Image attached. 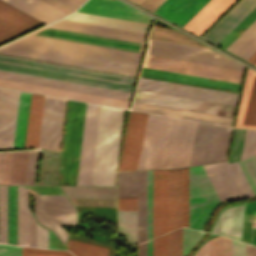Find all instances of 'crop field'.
<instances>
[{
  "label": "crop field",
  "instance_id": "8a807250",
  "mask_svg": "<svg viewBox=\"0 0 256 256\" xmlns=\"http://www.w3.org/2000/svg\"><path fill=\"white\" fill-rule=\"evenodd\" d=\"M0 53L134 76L140 53L28 34Z\"/></svg>",
  "mask_w": 256,
  "mask_h": 256
},
{
  "label": "crop field",
  "instance_id": "ac0d7876",
  "mask_svg": "<svg viewBox=\"0 0 256 256\" xmlns=\"http://www.w3.org/2000/svg\"><path fill=\"white\" fill-rule=\"evenodd\" d=\"M197 125L149 114L137 169L188 166Z\"/></svg>",
  "mask_w": 256,
  "mask_h": 256
},
{
  "label": "crop field",
  "instance_id": "34b2d1b8",
  "mask_svg": "<svg viewBox=\"0 0 256 256\" xmlns=\"http://www.w3.org/2000/svg\"><path fill=\"white\" fill-rule=\"evenodd\" d=\"M150 55L234 68L243 70L244 66L205 48L157 41L149 39L148 53ZM146 56L143 66L168 71L192 74L240 83L243 71L156 57Z\"/></svg>",
  "mask_w": 256,
  "mask_h": 256
},
{
  "label": "crop field",
  "instance_id": "412701ff",
  "mask_svg": "<svg viewBox=\"0 0 256 256\" xmlns=\"http://www.w3.org/2000/svg\"><path fill=\"white\" fill-rule=\"evenodd\" d=\"M17 91L0 88V149L10 148ZM30 94L18 91L11 148L24 147ZM44 96L31 94L25 147H38Z\"/></svg>",
  "mask_w": 256,
  "mask_h": 256
},
{
  "label": "crop field",
  "instance_id": "f4fd0767",
  "mask_svg": "<svg viewBox=\"0 0 256 256\" xmlns=\"http://www.w3.org/2000/svg\"><path fill=\"white\" fill-rule=\"evenodd\" d=\"M0 70L131 93L133 77L0 55Z\"/></svg>",
  "mask_w": 256,
  "mask_h": 256
},
{
  "label": "crop field",
  "instance_id": "dd49c442",
  "mask_svg": "<svg viewBox=\"0 0 256 256\" xmlns=\"http://www.w3.org/2000/svg\"><path fill=\"white\" fill-rule=\"evenodd\" d=\"M123 114L101 106L91 185H115Z\"/></svg>",
  "mask_w": 256,
  "mask_h": 256
},
{
  "label": "crop field",
  "instance_id": "e52e79f7",
  "mask_svg": "<svg viewBox=\"0 0 256 256\" xmlns=\"http://www.w3.org/2000/svg\"><path fill=\"white\" fill-rule=\"evenodd\" d=\"M0 79L16 81V82H21V83H27V84H33V85H39V86H45V87H51V88H57V89H62V90L74 91V92H80V93H86V94H92V95L115 98V99H121V100H127V101H129L130 95H131L129 93L117 92V91H112V90L100 89V88H95V87L83 86V85H78V84L66 83V82H61V81H55V80H50V79L38 78V77L21 75V74L4 72V71H0ZM4 80H0V87H6V88H12V89H18V90H24V91H30V92H36V93H42V94H48V95H54V96H60V97L90 101V102L125 107V108L128 107V103H129L127 101H121V100L97 97V96H92V95L56 90V89H51V88L21 84V83L4 81Z\"/></svg>",
  "mask_w": 256,
  "mask_h": 256
},
{
  "label": "crop field",
  "instance_id": "d8731c3e",
  "mask_svg": "<svg viewBox=\"0 0 256 256\" xmlns=\"http://www.w3.org/2000/svg\"><path fill=\"white\" fill-rule=\"evenodd\" d=\"M86 103H68L58 185H76Z\"/></svg>",
  "mask_w": 256,
  "mask_h": 256
},
{
  "label": "crop field",
  "instance_id": "5a996713",
  "mask_svg": "<svg viewBox=\"0 0 256 256\" xmlns=\"http://www.w3.org/2000/svg\"><path fill=\"white\" fill-rule=\"evenodd\" d=\"M203 167L221 202L254 196L238 162L215 163Z\"/></svg>",
  "mask_w": 256,
  "mask_h": 256
},
{
  "label": "crop field",
  "instance_id": "3316defc",
  "mask_svg": "<svg viewBox=\"0 0 256 256\" xmlns=\"http://www.w3.org/2000/svg\"><path fill=\"white\" fill-rule=\"evenodd\" d=\"M220 203L202 166L189 168V227L200 230Z\"/></svg>",
  "mask_w": 256,
  "mask_h": 256
},
{
  "label": "crop field",
  "instance_id": "28ad6ade",
  "mask_svg": "<svg viewBox=\"0 0 256 256\" xmlns=\"http://www.w3.org/2000/svg\"><path fill=\"white\" fill-rule=\"evenodd\" d=\"M39 223L53 230L64 243L67 232L59 224L76 225L77 214L66 196L32 195ZM54 233V234H55Z\"/></svg>",
  "mask_w": 256,
  "mask_h": 256
},
{
  "label": "crop field",
  "instance_id": "d1516ede",
  "mask_svg": "<svg viewBox=\"0 0 256 256\" xmlns=\"http://www.w3.org/2000/svg\"><path fill=\"white\" fill-rule=\"evenodd\" d=\"M134 101L230 118H232L235 108V106L233 105L203 101L139 89H137L136 91Z\"/></svg>",
  "mask_w": 256,
  "mask_h": 256
},
{
  "label": "crop field",
  "instance_id": "22f410ed",
  "mask_svg": "<svg viewBox=\"0 0 256 256\" xmlns=\"http://www.w3.org/2000/svg\"><path fill=\"white\" fill-rule=\"evenodd\" d=\"M37 151L0 152V184L33 185Z\"/></svg>",
  "mask_w": 256,
  "mask_h": 256
},
{
  "label": "crop field",
  "instance_id": "cbeb9de0",
  "mask_svg": "<svg viewBox=\"0 0 256 256\" xmlns=\"http://www.w3.org/2000/svg\"><path fill=\"white\" fill-rule=\"evenodd\" d=\"M137 88L233 105H235L238 95L235 93L167 83L143 78L139 79Z\"/></svg>",
  "mask_w": 256,
  "mask_h": 256
},
{
  "label": "crop field",
  "instance_id": "5142ce71",
  "mask_svg": "<svg viewBox=\"0 0 256 256\" xmlns=\"http://www.w3.org/2000/svg\"><path fill=\"white\" fill-rule=\"evenodd\" d=\"M118 197H138V243L146 240V171L118 172Z\"/></svg>",
  "mask_w": 256,
  "mask_h": 256
},
{
  "label": "crop field",
  "instance_id": "d9b57169",
  "mask_svg": "<svg viewBox=\"0 0 256 256\" xmlns=\"http://www.w3.org/2000/svg\"><path fill=\"white\" fill-rule=\"evenodd\" d=\"M99 109L87 103L77 185H90Z\"/></svg>",
  "mask_w": 256,
  "mask_h": 256
},
{
  "label": "crop field",
  "instance_id": "733c2abd",
  "mask_svg": "<svg viewBox=\"0 0 256 256\" xmlns=\"http://www.w3.org/2000/svg\"><path fill=\"white\" fill-rule=\"evenodd\" d=\"M64 103L45 96L39 147L58 150Z\"/></svg>",
  "mask_w": 256,
  "mask_h": 256
},
{
  "label": "crop field",
  "instance_id": "4a817a6b",
  "mask_svg": "<svg viewBox=\"0 0 256 256\" xmlns=\"http://www.w3.org/2000/svg\"><path fill=\"white\" fill-rule=\"evenodd\" d=\"M148 114L131 111L120 170L136 169Z\"/></svg>",
  "mask_w": 256,
  "mask_h": 256
},
{
  "label": "crop field",
  "instance_id": "bc2a9ffb",
  "mask_svg": "<svg viewBox=\"0 0 256 256\" xmlns=\"http://www.w3.org/2000/svg\"><path fill=\"white\" fill-rule=\"evenodd\" d=\"M78 11L148 24L152 20L118 0H89Z\"/></svg>",
  "mask_w": 256,
  "mask_h": 256
},
{
  "label": "crop field",
  "instance_id": "214f88e0",
  "mask_svg": "<svg viewBox=\"0 0 256 256\" xmlns=\"http://www.w3.org/2000/svg\"><path fill=\"white\" fill-rule=\"evenodd\" d=\"M47 27H53L58 29L70 30L75 32H81L86 34H92L97 36H103L108 38H114V39H120V40L144 44L145 34L143 33L131 32L126 30L75 22L70 20L61 19L48 25Z\"/></svg>",
  "mask_w": 256,
  "mask_h": 256
},
{
  "label": "crop field",
  "instance_id": "92a150f3",
  "mask_svg": "<svg viewBox=\"0 0 256 256\" xmlns=\"http://www.w3.org/2000/svg\"><path fill=\"white\" fill-rule=\"evenodd\" d=\"M167 232V170H153V238Z\"/></svg>",
  "mask_w": 256,
  "mask_h": 256
},
{
  "label": "crop field",
  "instance_id": "dafd665d",
  "mask_svg": "<svg viewBox=\"0 0 256 256\" xmlns=\"http://www.w3.org/2000/svg\"><path fill=\"white\" fill-rule=\"evenodd\" d=\"M141 76L161 79L166 81H172V82H178V83H184V84H190L195 86L213 88L218 90L236 92V93H238L239 86H240V84L238 83L220 81L215 79L191 76L186 74L168 72V71L145 68V67H143L142 69Z\"/></svg>",
  "mask_w": 256,
  "mask_h": 256
},
{
  "label": "crop field",
  "instance_id": "00972430",
  "mask_svg": "<svg viewBox=\"0 0 256 256\" xmlns=\"http://www.w3.org/2000/svg\"><path fill=\"white\" fill-rule=\"evenodd\" d=\"M183 226V169L168 170V232Z\"/></svg>",
  "mask_w": 256,
  "mask_h": 256
},
{
  "label": "crop field",
  "instance_id": "a9b5d70f",
  "mask_svg": "<svg viewBox=\"0 0 256 256\" xmlns=\"http://www.w3.org/2000/svg\"><path fill=\"white\" fill-rule=\"evenodd\" d=\"M40 24L42 23L0 1V43Z\"/></svg>",
  "mask_w": 256,
  "mask_h": 256
},
{
  "label": "crop field",
  "instance_id": "4177f3b9",
  "mask_svg": "<svg viewBox=\"0 0 256 256\" xmlns=\"http://www.w3.org/2000/svg\"><path fill=\"white\" fill-rule=\"evenodd\" d=\"M235 127L256 128V72L248 69Z\"/></svg>",
  "mask_w": 256,
  "mask_h": 256
},
{
  "label": "crop field",
  "instance_id": "730fd06b",
  "mask_svg": "<svg viewBox=\"0 0 256 256\" xmlns=\"http://www.w3.org/2000/svg\"><path fill=\"white\" fill-rule=\"evenodd\" d=\"M32 34L80 41L85 43H91V44H97V45H103V46H109V47H115V48H121V49H127V50L139 51V52H143V48H144V45L142 44L119 41L114 39H108L103 37H97V36L69 32V31L58 30V29L47 28V27H43L33 32Z\"/></svg>",
  "mask_w": 256,
  "mask_h": 256
},
{
  "label": "crop field",
  "instance_id": "eef30255",
  "mask_svg": "<svg viewBox=\"0 0 256 256\" xmlns=\"http://www.w3.org/2000/svg\"><path fill=\"white\" fill-rule=\"evenodd\" d=\"M256 0H240L203 38L217 44L231 31L254 7Z\"/></svg>",
  "mask_w": 256,
  "mask_h": 256
},
{
  "label": "crop field",
  "instance_id": "ae1a2a85",
  "mask_svg": "<svg viewBox=\"0 0 256 256\" xmlns=\"http://www.w3.org/2000/svg\"><path fill=\"white\" fill-rule=\"evenodd\" d=\"M209 0H166L155 13L183 26Z\"/></svg>",
  "mask_w": 256,
  "mask_h": 256
},
{
  "label": "crop field",
  "instance_id": "d3111659",
  "mask_svg": "<svg viewBox=\"0 0 256 256\" xmlns=\"http://www.w3.org/2000/svg\"><path fill=\"white\" fill-rule=\"evenodd\" d=\"M235 0H210L183 28L200 35Z\"/></svg>",
  "mask_w": 256,
  "mask_h": 256
},
{
  "label": "crop field",
  "instance_id": "750c4746",
  "mask_svg": "<svg viewBox=\"0 0 256 256\" xmlns=\"http://www.w3.org/2000/svg\"><path fill=\"white\" fill-rule=\"evenodd\" d=\"M132 110L208 122V123H214V124H220V125H226V126H230L231 120H232L230 118L200 114L195 112L171 109V108L136 103V102L133 103Z\"/></svg>",
  "mask_w": 256,
  "mask_h": 256
},
{
  "label": "crop field",
  "instance_id": "bd1437ed",
  "mask_svg": "<svg viewBox=\"0 0 256 256\" xmlns=\"http://www.w3.org/2000/svg\"><path fill=\"white\" fill-rule=\"evenodd\" d=\"M245 206L226 209L217 220L212 232L241 241Z\"/></svg>",
  "mask_w": 256,
  "mask_h": 256
},
{
  "label": "crop field",
  "instance_id": "1d83c4d3",
  "mask_svg": "<svg viewBox=\"0 0 256 256\" xmlns=\"http://www.w3.org/2000/svg\"><path fill=\"white\" fill-rule=\"evenodd\" d=\"M26 14L48 24L66 14L40 0H2Z\"/></svg>",
  "mask_w": 256,
  "mask_h": 256
},
{
  "label": "crop field",
  "instance_id": "120bbe31",
  "mask_svg": "<svg viewBox=\"0 0 256 256\" xmlns=\"http://www.w3.org/2000/svg\"><path fill=\"white\" fill-rule=\"evenodd\" d=\"M64 19L76 20L81 22L93 23L98 25L110 26L144 33L147 32L150 26L148 24L136 23L131 21L113 19L79 12H76L73 15Z\"/></svg>",
  "mask_w": 256,
  "mask_h": 256
},
{
  "label": "crop field",
  "instance_id": "d32e631a",
  "mask_svg": "<svg viewBox=\"0 0 256 256\" xmlns=\"http://www.w3.org/2000/svg\"><path fill=\"white\" fill-rule=\"evenodd\" d=\"M213 127L199 123L189 166L206 163Z\"/></svg>",
  "mask_w": 256,
  "mask_h": 256
},
{
  "label": "crop field",
  "instance_id": "5866460e",
  "mask_svg": "<svg viewBox=\"0 0 256 256\" xmlns=\"http://www.w3.org/2000/svg\"><path fill=\"white\" fill-rule=\"evenodd\" d=\"M18 245L29 246L27 189L17 186Z\"/></svg>",
  "mask_w": 256,
  "mask_h": 256
},
{
  "label": "crop field",
  "instance_id": "028f5c9d",
  "mask_svg": "<svg viewBox=\"0 0 256 256\" xmlns=\"http://www.w3.org/2000/svg\"><path fill=\"white\" fill-rule=\"evenodd\" d=\"M231 131L215 125L207 163L225 160Z\"/></svg>",
  "mask_w": 256,
  "mask_h": 256
},
{
  "label": "crop field",
  "instance_id": "e1f06a70",
  "mask_svg": "<svg viewBox=\"0 0 256 256\" xmlns=\"http://www.w3.org/2000/svg\"><path fill=\"white\" fill-rule=\"evenodd\" d=\"M68 198L116 199V188L61 186Z\"/></svg>",
  "mask_w": 256,
  "mask_h": 256
},
{
  "label": "crop field",
  "instance_id": "0bd39190",
  "mask_svg": "<svg viewBox=\"0 0 256 256\" xmlns=\"http://www.w3.org/2000/svg\"><path fill=\"white\" fill-rule=\"evenodd\" d=\"M209 256H232V240L223 237L210 240ZM233 256H246V244L233 240Z\"/></svg>",
  "mask_w": 256,
  "mask_h": 256
},
{
  "label": "crop field",
  "instance_id": "b80d0937",
  "mask_svg": "<svg viewBox=\"0 0 256 256\" xmlns=\"http://www.w3.org/2000/svg\"><path fill=\"white\" fill-rule=\"evenodd\" d=\"M118 235H126L127 245L137 243V211H118Z\"/></svg>",
  "mask_w": 256,
  "mask_h": 256
},
{
  "label": "crop field",
  "instance_id": "c035e120",
  "mask_svg": "<svg viewBox=\"0 0 256 256\" xmlns=\"http://www.w3.org/2000/svg\"><path fill=\"white\" fill-rule=\"evenodd\" d=\"M8 243L17 245L16 187L8 186Z\"/></svg>",
  "mask_w": 256,
  "mask_h": 256
},
{
  "label": "crop field",
  "instance_id": "c21b1889",
  "mask_svg": "<svg viewBox=\"0 0 256 256\" xmlns=\"http://www.w3.org/2000/svg\"><path fill=\"white\" fill-rule=\"evenodd\" d=\"M68 250L75 256H108V250L88 244L77 243L69 240Z\"/></svg>",
  "mask_w": 256,
  "mask_h": 256
},
{
  "label": "crop field",
  "instance_id": "03da06ac",
  "mask_svg": "<svg viewBox=\"0 0 256 256\" xmlns=\"http://www.w3.org/2000/svg\"><path fill=\"white\" fill-rule=\"evenodd\" d=\"M0 242L7 243V186H0Z\"/></svg>",
  "mask_w": 256,
  "mask_h": 256
},
{
  "label": "crop field",
  "instance_id": "b54c1fbb",
  "mask_svg": "<svg viewBox=\"0 0 256 256\" xmlns=\"http://www.w3.org/2000/svg\"><path fill=\"white\" fill-rule=\"evenodd\" d=\"M167 256H182V228L168 234Z\"/></svg>",
  "mask_w": 256,
  "mask_h": 256
},
{
  "label": "crop field",
  "instance_id": "5d738f31",
  "mask_svg": "<svg viewBox=\"0 0 256 256\" xmlns=\"http://www.w3.org/2000/svg\"><path fill=\"white\" fill-rule=\"evenodd\" d=\"M239 164L256 195V158L255 156L243 161H239Z\"/></svg>",
  "mask_w": 256,
  "mask_h": 256
},
{
  "label": "crop field",
  "instance_id": "d23c7cc5",
  "mask_svg": "<svg viewBox=\"0 0 256 256\" xmlns=\"http://www.w3.org/2000/svg\"><path fill=\"white\" fill-rule=\"evenodd\" d=\"M152 238V170L147 171V240Z\"/></svg>",
  "mask_w": 256,
  "mask_h": 256
},
{
  "label": "crop field",
  "instance_id": "425ffa30",
  "mask_svg": "<svg viewBox=\"0 0 256 256\" xmlns=\"http://www.w3.org/2000/svg\"><path fill=\"white\" fill-rule=\"evenodd\" d=\"M244 133L245 130L235 129L229 163L240 160Z\"/></svg>",
  "mask_w": 256,
  "mask_h": 256
},
{
  "label": "crop field",
  "instance_id": "25e5ab78",
  "mask_svg": "<svg viewBox=\"0 0 256 256\" xmlns=\"http://www.w3.org/2000/svg\"><path fill=\"white\" fill-rule=\"evenodd\" d=\"M42 1L50 4L51 6L65 12L67 14H69L72 11L76 10L86 0H42Z\"/></svg>",
  "mask_w": 256,
  "mask_h": 256
},
{
  "label": "crop field",
  "instance_id": "73cf0c24",
  "mask_svg": "<svg viewBox=\"0 0 256 256\" xmlns=\"http://www.w3.org/2000/svg\"><path fill=\"white\" fill-rule=\"evenodd\" d=\"M256 146V130H246L241 160L254 155Z\"/></svg>",
  "mask_w": 256,
  "mask_h": 256
},
{
  "label": "crop field",
  "instance_id": "89e229c0",
  "mask_svg": "<svg viewBox=\"0 0 256 256\" xmlns=\"http://www.w3.org/2000/svg\"><path fill=\"white\" fill-rule=\"evenodd\" d=\"M202 235L203 232L183 228V256H185Z\"/></svg>",
  "mask_w": 256,
  "mask_h": 256
},
{
  "label": "crop field",
  "instance_id": "1f2cbd36",
  "mask_svg": "<svg viewBox=\"0 0 256 256\" xmlns=\"http://www.w3.org/2000/svg\"><path fill=\"white\" fill-rule=\"evenodd\" d=\"M256 33V21L239 36L226 50L236 53Z\"/></svg>",
  "mask_w": 256,
  "mask_h": 256
},
{
  "label": "crop field",
  "instance_id": "dbb93151",
  "mask_svg": "<svg viewBox=\"0 0 256 256\" xmlns=\"http://www.w3.org/2000/svg\"><path fill=\"white\" fill-rule=\"evenodd\" d=\"M256 52V34L236 53V55L249 59ZM256 65V53L248 60Z\"/></svg>",
  "mask_w": 256,
  "mask_h": 256
},
{
  "label": "crop field",
  "instance_id": "0fb4a251",
  "mask_svg": "<svg viewBox=\"0 0 256 256\" xmlns=\"http://www.w3.org/2000/svg\"><path fill=\"white\" fill-rule=\"evenodd\" d=\"M22 256H72L67 251L44 250L35 248H23Z\"/></svg>",
  "mask_w": 256,
  "mask_h": 256
},
{
  "label": "crop field",
  "instance_id": "1d79db26",
  "mask_svg": "<svg viewBox=\"0 0 256 256\" xmlns=\"http://www.w3.org/2000/svg\"><path fill=\"white\" fill-rule=\"evenodd\" d=\"M167 234L153 239V255L166 256Z\"/></svg>",
  "mask_w": 256,
  "mask_h": 256
},
{
  "label": "crop field",
  "instance_id": "9d1cf04e",
  "mask_svg": "<svg viewBox=\"0 0 256 256\" xmlns=\"http://www.w3.org/2000/svg\"><path fill=\"white\" fill-rule=\"evenodd\" d=\"M255 20L256 8L252 12H250L232 31L241 34Z\"/></svg>",
  "mask_w": 256,
  "mask_h": 256
},
{
  "label": "crop field",
  "instance_id": "447ae74e",
  "mask_svg": "<svg viewBox=\"0 0 256 256\" xmlns=\"http://www.w3.org/2000/svg\"><path fill=\"white\" fill-rule=\"evenodd\" d=\"M37 247L48 248V230L36 223Z\"/></svg>",
  "mask_w": 256,
  "mask_h": 256
},
{
  "label": "crop field",
  "instance_id": "0765c3eb",
  "mask_svg": "<svg viewBox=\"0 0 256 256\" xmlns=\"http://www.w3.org/2000/svg\"><path fill=\"white\" fill-rule=\"evenodd\" d=\"M184 226L188 227V168L184 169Z\"/></svg>",
  "mask_w": 256,
  "mask_h": 256
},
{
  "label": "crop field",
  "instance_id": "db79e9e6",
  "mask_svg": "<svg viewBox=\"0 0 256 256\" xmlns=\"http://www.w3.org/2000/svg\"><path fill=\"white\" fill-rule=\"evenodd\" d=\"M118 210H137V198H118Z\"/></svg>",
  "mask_w": 256,
  "mask_h": 256
},
{
  "label": "crop field",
  "instance_id": "7b73153f",
  "mask_svg": "<svg viewBox=\"0 0 256 256\" xmlns=\"http://www.w3.org/2000/svg\"><path fill=\"white\" fill-rule=\"evenodd\" d=\"M0 256H21V247L0 244Z\"/></svg>",
  "mask_w": 256,
  "mask_h": 256
},
{
  "label": "crop field",
  "instance_id": "78b8030e",
  "mask_svg": "<svg viewBox=\"0 0 256 256\" xmlns=\"http://www.w3.org/2000/svg\"><path fill=\"white\" fill-rule=\"evenodd\" d=\"M164 1L165 0H142L139 5L154 12Z\"/></svg>",
  "mask_w": 256,
  "mask_h": 256
},
{
  "label": "crop field",
  "instance_id": "0f1d7ab4",
  "mask_svg": "<svg viewBox=\"0 0 256 256\" xmlns=\"http://www.w3.org/2000/svg\"><path fill=\"white\" fill-rule=\"evenodd\" d=\"M30 246L36 247L35 219L29 212Z\"/></svg>",
  "mask_w": 256,
  "mask_h": 256
},
{
  "label": "crop field",
  "instance_id": "e1d0b9f6",
  "mask_svg": "<svg viewBox=\"0 0 256 256\" xmlns=\"http://www.w3.org/2000/svg\"><path fill=\"white\" fill-rule=\"evenodd\" d=\"M138 256H146V241L138 245Z\"/></svg>",
  "mask_w": 256,
  "mask_h": 256
},
{
  "label": "crop field",
  "instance_id": "ae633e8c",
  "mask_svg": "<svg viewBox=\"0 0 256 256\" xmlns=\"http://www.w3.org/2000/svg\"><path fill=\"white\" fill-rule=\"evenodd\" d=\"M196 256H208V243L205 244L198 252Z\"/></svg>",
  "mask_w": 256,
  "mask_h": 256
},
{
  "label": "crop field",
  "instance_id": "d14b1444",
  "mask_svg": "<svg viewBox=\"0 0 256 256\" xmlns=\"http://www.w3.org/2000/svg\"><path fill=\"white\" fill-rule=\"evenodd\" d=\"M247 256H256V247L247 244Z\"/></svg>",
  "mask_w": 256,
  "mask_h": 256
},
{
  "label": "crop field",
  "instance_id": "c39391a2",
  "mask_svg": "<svg viewBox=\"0 0 256 256\" xmlns=\"http://www.w3.org/2000/svg\"><path fill=\"white\" fill-rule=\"evenodd\" d=\"M152 255V239L147 241V256Z\"/></svg>",
  "mask_w": 256,
  "mask_h": 256
},
{
  "label": "crop field",
  "instance_id": "ade564c9",
  "mask_svg": "<svg viewBox=\"0 0 256 256\" xmlns=\"http://www.w3.org/2000/svg\"><path fill=\"white\" fill-rule=\"evenodd\" d=\"M131 1H133V2L138 4L141 0H131Z\"/></svg>",
  "mask_w": 256,
  "mask_h": 256
},
{
  "label": "crop field",
  "instance_id": "c5b07064",
  "mask_svg": "<svg viewBox=\"0 0 256 256\" xmlns=\"http://www.w3.org/2000/svg\"><path fill=\"white\" fill-rule=\"evenodd\" d=\"M255 156H256V152H255Z\"/></svg>",
  "mask_w": 256,
  "mask_h": 256
}]
</instances>
